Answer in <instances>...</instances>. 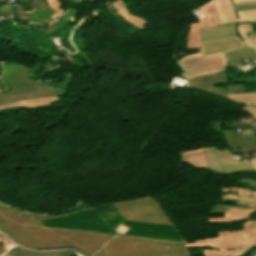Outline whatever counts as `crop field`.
<instances>
[{"label": "crop field", "instance_id": "crop-field-6", "mask_svg": "<svg viewBox=\"0 0 256 256\" xmlns=\"http://www.w3.org/2000/svg\"><path fill=\"white\" fill-rule=\"evenodd\" d=\"M241 21L256 20V10L237 12Z\"/></svg>", "mask_w": 256, "mask_h": 256}, {"label": "crop field", "instance_id": "crop-field-12", "mask_svg": "<svg viewBox=\"0 0 256 256\" xmlns=\"http://www.w3.org/2000/svg\"><path fill=\"white\" fill-rule=\"evenodd\" d=\"M250 2H256V0H254V1H246V2H238V3H234V4L238 5V4H244V3H250Z\"/></svg>", "mask_w": 256, "mask_h": 256}, {"label": "crop field", "instance_id": "crop-field-8", "mask_svg": "<svg viewBox=\"0 0 256 256\" xmlns=\"http://www.w3.org/2000/svg\"><path fill=\"white\" fill-rule=\"evenodd\" d=\"M246 45H247V46H250V47L256 48V40H254V41H248V42H246Z\"/></svg>", "mask_w": 256, "mask_h": 256}, {"label": "crop field", "instance_id": "crop-field-13", "mask_svg": "<svg viewBox=\"0 0 256 256\" xmlns=\"http://www.w3.org/2000/svg\"><path fill=\"white\" fill-rule=\"evenodd\" d=\"M247 107H249L250 109H252L253 111L256 112V107L255 106H247Z\"/></svg>", "mask_w": 256, "mask_h": 256}, {"label": "crop field", "instance_id": "crop-field-9", "mask_svg": "<svg viewBox=\"0 0 256 256\" xmlns=\"http://www.w3.org/2000/svg\"><path fill=\"white\" fill-rule=\"evenodd\" d=\"M253 4H256V3H253ZM249 5H252V4H248V5H239V6H235V7L249 6ZM249 7H256V6H249ZM240 8H247V7H240ZM253 9H256V8H253ZM236 10H239V9H236ZM246 10H249V9H246ZM240 11H241V10H240Z\"/></svg>", "mask_w": 256, "mask_h": 256}, {"label": "crop field", "instance_id": "crop-field-1", "mask_svg": "<svg viewBox=\"0 0 256 256\" xmlns=\"http://www.w3.org/2000/svg\"><path fill=\"white\" fill-rule=\"evenodd\" d=\"M176 63L185 71L181 73L185 79L226 70L223 53L205 56H201V53L187 55L176 61Z\"/></svg>", "mask_w": 256, "mask_h": 256}, {"label": "crop field", "instance_id": "crop-field-5", "mask_svg": "<svg viewBox=\"0 0 256 256\" xmlns=\"http://www.w3.org/2000/svg\"><path fill=\"white\" fill-rule=\"evenodd\" d=\"M223 23L237 21L229 0H214Z\"/></svg>", "mask_w": 256, "mask_h": 256}, {"label": "crop field", "instance_id": "crop-field-7", "mask_svg": "<svg viewBox=\"0 0 256 256\" xmlns=\"http://www.w3.org/2000/svg\"><path fill=\"white\" fill-rule=\"evenodd\" d=\"M238 33L242 37L243 40L247 41L248 38L245 34L247 31H253L252 27L250 24H240L237 25Z\"/></svg>", "mask_w": 256, "mask_h": 256}, {"label": "crop field", "instance_id": "crop-field-15", "mask_svg": "<svg viewBox=\"0 0 256 256\" xmlns=\"http://www.w3.org/2000/svg\"><path fill=\"white\" fill-rule=\"evenodd\" d=\"M234 2H236V1H242V0H233Z\"/></svg>", "mask_w": 256, "mask_h": 256}, {"label": "crop field", "instance_id": "crop-field-14", "mask_svg": "<svg viewBox=\"0 0 256 256\" xmlns=\"http://www.w3.org/2000/svg\"><path fill=\"white\" fill-rule=\"evenodd\" d=\"M250 40L256 39V36L249 37Z\"/></svg>", "mask_w": 256, "mask_h": 256}, {"label": "crop field", "instance_id": "crop-field-4", "mask_svg": "<svg viewBox=\"0 0 256 256\" xmlns=\"http://www.w3.org/2000/svg\"><path fill=\"white\" fill-rule=\"evenodd\" d=\"M233 23L199 29L200 37L233 31ZM235 36L234 32L200 38L201 43Z\"/></svg>", "mask_w": 256, "mask_h": 256}, {"label": "crop field", "instance_id": "crop-field-3", "mask_svg": "<svg viewBox=\"0 0 256 256\" xmlns=\"http://www.w3.org/2000/svg\"><path fill=\"white\" fill-rule=\"evenodd\" d=\"M232 39H236V38L232 37V38H229V39H226V40H223V41H219V42H211V43L203 44V45H201V47L207 46V45L216 44V43H220V42H224V41H228V40H232ZM237 42H240V41H238V39H237V40H233V41H229V42H225V43H221V44H216V45H212V46L203 47V48H201V50L209 49V48H215V47H219V46H223V45H228V44H232V43H237ZM237 47H243V44L242 43H237V44L223 46V47H219V48H215V49L204 50V51H201V52H202V55H204V54H210V53H215V52H221V51H225V50H229V49H233V48H237ZM237 50H253V51H256L253 48L245 47V48L234 49V50H230V51H226V52L237 51ZM233 53H256V52H252V51H237V52H231V53H225V54H233ZM235 57H239V58H256V56H250V55H235V56H228V57H225V58L229 59V58H235ZM238 60H241V59H238V58L229 59V60H226V62L238 61Z\"/></svg>", "mask_w": 256, "mask_h": 256}, {"label": "crop field", "instance_id": "crop-field-11", "mask_svg": "<svg viewBox=\"0 0 256 256\" xmlns=\"http://www.w3.org/2000/svg\"><path fill=\"white\" fill-rule=\"evenodd\" d=\"M256 247V245L255 246H253V247H251V248H249L247 251H245L243 254H241L240 256H244L245 254H247L249 251H251L253 248H255Z\"/></svg>", "mask_w": 256, "mask_h": 256}, {"label": "crop field", "instance_id": "crop-field-2", "mask_svg": "<svg viewBox=\"0 0 256 256\" xmlns=\"http://www.w3.org/2000/svg\"><path fill=\"white\" fill-rule=\"evenodd\" d=\"M203 150L205 152L209 168H211V169H219V170H221V169L222 170H228L229 169L230 171L235 170V168H234L232 163L227 165V167H228V169H227V167L224 164V162H223L219 152L215 148H211V150L214 153V155H215V157H216V159H217L221 169H220V167H219V165H218V163H217L213 153L211 152L210 148H203ZM220 153H221L225 163L235 162L236 161L234 158L231 157V154L229 153L228 150L220 151ZM241 162H242L243 167H244L245 170H249V169H253L254 168V170L256 171V160L250 161V163L253 166V168L250 165L249 161H241ZM241 162L239 161V162L234 163V165H235L237 170H244L243 167H242Z\"/></svg>", "mask_w": 256, "mask_h": 256}, {"label": "crop field", "instance_id": "crop-field-16", "mask_svg": "<svg viewBox=\"0 0 256 256\" xmlns=\"http://www.w3.org/2000/svg\"><path fill=\"white\" fill-rule=\"evenodd\" d=\"M254 194H255V198H256V192H254Z\"/></svg>", "mask_w": 256, "mask_h": 256}, {"label": "crop field", "instance_id": "crop-field-10", "mask_svg": "<svg viewBox=\"0 0 256 256\" xmlns=\"http://www.w3.org/2000/svg\"><path fill=\"white\" fill-rule=\"evenodd\" d=\"M9 6H10V9H12L11 4H9ZM5 7H6V10H9L8 4L5 5ZM0 10H5L4 5L0 6Z\"/></svg>", "mask_w": 256, "mask_h": 256}]
</instances>
